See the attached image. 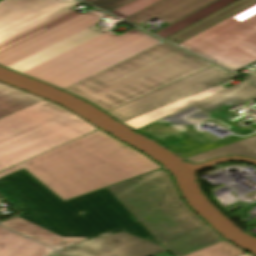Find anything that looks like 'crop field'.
<instances>
[{
    "label": "crop field",
    "instance_id": "13",
    "mask_svg": "<svg viewBox=\"0 0 256 256\" xmlns=\"http://www.w3.org/2000/svg\"><path fill=\"white\" fill-rule=\"evenodd\" d=\"M219 91H221L219 88L213 86L209 89H206L204 91H201V92L191 95L189 97L183 98L181 100H178L176 102H173L171 104L163 106L161 108H158V109L148 112L146 114H143V115H140L133 119H130L128 121H125L123 123L135 130H138L139 128H141L147 124L157 121L173 112H176L190 104H193V103H195L201 99H204L210 95H213Z\"/></svg>",
    "mask_w": 256,
    "mask_h": 256
},
{
    "label": "crop field",
    "instance_id": "1",
    "mask_svg": "<svg viewBox=\"0 0 256 256\" xmlns=\"http://www.w3.org/2000/svg\"><path fill=\"white\" fill-rule=\"evenodd\" d=\"M77 0L0 2V65L62 90L159 43L132 30L94 26L107 14L77 13Z\"/></svg>",
    "mask_w": 256,
    "mask_h": 256
},
{
    "label": "crop field",
    "instance_id": "8",
    "mask_svg": "<svg viewBox=\"0 0 256 256\" xmlns=\"http://www.w3.org/2000/svg\"><path fill=\"white\" fill-rule=\"evenodd\" d=\"M236 77L238 75L213 65L199 73L186 77L106 113L123 122Z\"/></svg>",
    "mask_w": 256,
    "mask_h": 256
},
{
    "label": "crop field",
    "instance_id": "20",
    "mask_svg": "<svg viewBox=\"0 0 256 256\" xmlns=\"http://www.w3.org/2000/svg\"><path fill=\"white\" fill-rule=\"evenodd\" d=\"M244 253L246 252L236 248L229 242L224 241L186 256H239Z\"/></svg>",
    "mask_w": 256,
    "mask_h": 256
},
{
    "label": "crop field",
    "instance_id": "10",
    "mask_svg": "<svg viewBox=\"0 0 256 256\" xmlns=\"http://www.w3.org/2000/svg\"><path fill=\"white\" fill-rule=\"evenodd\" d=\"M216 0H163L125 20L136 25L157 17L170 24Z\"/></svg>",
    "mask_w": 256,
    "mask_h": 256
},
{
    "label": "crop field",
    "instance_id": "3",
    "mask_svg": "<svg viewBox=\"0 0 256 256\" xmlns=\"http://www.w3.org/2000/svg\"><path fill=\"white\" fill-rule=\"evenodd\" d=\"M0 195L18 217L61 237H95L124 231L159 242L107 189L66 203L25 170L0 179ZM83 211V215L79 212Z\"/></svg>",
    "mask_w": 256,
    "mask_h": 256
},
{
    "label": "crop field",
    "instance_id": "4",
    "mask_svg": "<svg viewBox=\"0 0 256 256\" xmlns=\"http://www.w3.org/2000/svg\"><path fill=\"white\" fill-rule=\"evenodd\" d=\"M211 65L164 42L65 91L108 111Z\"/></svg>",
    "mask_w": 256,
    "mask_h": 256
},
{
    "label": "crop field",
    "instance_id": "16",
    "mask_svg": "<svg viewBox=\"0 0 256 256\" xmlns=\"http://www.w3.org/2000/svg\"><path fill=\"white\" fill-rule=\"evenodd\" d=\"M219 237L220 235L208 225L164 246L177 256H180L217 242Z\"/></svg>",
    "mask_w": 256,
    "mask_h": 256
},
{
    "label": "crop field",
    "instance_id": "25",
    "mask_svg": "<svg viewBox=\"0 0 256 256\" xmlns=\"http://www.w3.org/2000/svg\"><path fill=\"white\" fill-rule=\"evenodd\" d=\"M52 256H64V255H62V254H60V253L56 252V253H55V254H53Z\"/></svg>",
    "mask_w": 256,
    "mask_h": 256
},
{
    "label": "crop field",
    "instance_id": "7",
    "mask_svg": "<svg viewBox=\"0 0 256 256\" xmlns=\"http://www.w3.org/2000/svg\"><path fill=\"white\" fill-rule=\"evenodd\" d=\"M179 45L232 71L256 61V4Z\"/></svg>",
    "mask_w": 256,
    "mask_h": 256
},
{
    "label": "crop field",
    "instance_id": "14",
    "mask_svg": "<svg viewBox=\"0 0 256 256\" xmlns=\"http://www.w3.org/2000/svg\"><path fill=\"white\" fill-rule=\"evenodd\" d=\"M52 250L0 227V256H47Z\"/></svg>",
    "mask_w": 256,
    "mask_h": 256
},
{
    "label": "crop field",
    "instance_id": "11",
    "mask_svg": "<svg viewBox=\"0 0 256 256\" xmlns=\"http://www.w3.org/2000/svg\"><path fill=\"white\" fill-rule=\"evenodd\" d=\"M255 98L256 85L246 80L193 105L209 114L211 110L221 105H233L239 102H248Z\"/></svg>",
    "mask_w": 256,
    "mask_h": 256
},
{
    "label": "crop field",
    "instance_id": "9",
    "mask_svg": "<svg viewBox=\"0 0 256 256\" xmlns=\"http://www.w3.org/2000/svg\"><path fill=\"white\" fill-rule=\"evenodd\" d=\"M166 249L119 232L60 250L69 256H150Z\"/></svg>",
    "mask_w": 256,
    "mask_h": 256
},
{
    "label": "crop field",
    "instance_id": "18",
    "mask_svg": "<svg viewBox=\"0 0 256 256\" xmlns=\"http://www.w3.org/2000/svg\"><path fill=\"white\" fill-rule=\"evenodd\" d=\"M236 1L238 0H217L155 34L166 39Z\"/></svg>",
    "mask_w": 256,
    "mask_h": 256
},
{
    "label": "crop field",
    "instance_id": "22",
    "mask_svg": "<svg viewBox=\"0 0 256 256\" xmlns=\"http://www.w3.org/2000/svg\"><path fill=\"white\" fill-rule=\"evenodd\" d=\"M159 1L161 0H136L110 13L125 19Z\"/></svg>",
    "mask_w": 256,
    "mask_h": 256
},
{
    "label": "crop field",
    "instance_id": "19",
    "mask_svg": "<svg viewBox=\"0 0 256 256\" xmlns=\"http://www.w3.org/2000/svg\"><path fill=\"white\" fill-rule=\"evenodd\" d=\"M236 155L256 159V136L191 158V163H200L215 157Z\"/></svg>",
    "mask_w": 256,
    "mask_h": 256
},
{
    "label": "crop field",
    "instance_id": "2",
    "mask_svg": "<svg viewBox=\"0 0 256 256\" xmlns=\"http://www.w3.org/2000/svg\"><path fill=\"white\" fill-rule=\"evenodd\" d=\"M25 168L67 200L161 168L133 147L97 130L8 170Z\"/></svg>",
    "mask_w": 256,
    "mask_h": 256
},
{
    "label": "crop field",
    "instance_id": "23",
    "mask_svg": "<svg viewBox=\"0 0 256 256\" xmlns=\"http://www.w3.org/2000/svg\"><path fill=\"white\" fill-rule=\"evenodd\" d=\"M133 0H94L89 3L107 11L110 12L126 3H129Z\"/></svg>",
    "mask_w": 256,
    "mask_h": 256
},
{
    "label": "crop field",
    "instance_id": "17",
    "mask_svg": "<svg viewBox=\"0 0 256 256\" xmlns=\"http://www.w3.org/2000/svg\"><path fill=\"white\" fill-rule=\"evenodd\" d=\"M43 99L0 82V118Z\"/></svg>",
    "mask_w": 256,
    "mask_h": 256
},
{
    "label": "crop field",
    "instance_id": "5",
    "mask_svg": "<svg viewBox=\"0 0 256 256\" xmlns=\"http://www.w3.org/2000/svg\"><path fill=\"white\" fill-rule=\"evenodd\" d=\"M97 129L47 100L36 103L0 119V171Z\"/></svg>",
    "mask_w": 256,
    "mask_h": 256
},
{
    "label": "crop field",
    "instance_id": "15",
    "mask_svg": "<svg viewBox=\"0 0 256 256\" xmlns=\"http://www.w3.org/2000/svg\"><path fill=\"white\" fill-rule=\"evenodd\" d=\"M255 3L256 0H240L167 40L178 44Z\"/></svg>",
    "mask_w": 256,
    "mask_h": 256
},
{
    "label": "crop field",
    "instance_id": "26",
    "mask_svg": "<svg viewBox=\"0 0 256 256\" xmlns=\"http://www.w3.org/2000/svg\"><path fill=\"white\" fill-rule=\"evenodd\" d=\"M241 256H252V255H250L249 253H246V254L241 255Z\"/></svg>",
    "mask_w": 256,
    "mask_h": 256
},
{
    "label": "crop field",
    "instance_id": "24",
    "mask_svg": "<svg viewBox=\"0 0 256 256\" xmlns=\"http://www.w3.org/2000/svg\"><path fill=\"white\" fill-rule=\"evenodd\" d=\"M249 79L253 80L256 82V72H254L250 77Z\"/></svg>",
    "mask_w": 256,
    "mask_h": 256
},
{
    "label": "crop field",
    "instance_id": "21",
    "mask_svg": "<svg viewBox=\"0 0 256 256\" xmlns=\"http://www.w3.org/2000/svg\"><path fill=\"white\" fill-rule=\"evenodd\" d=\"M165 118H175L180 119L184 122H193L197 120H204V119H211L210 116L203 111L197 109L194 106H188L168 117ZM165 118L157 121L158 123H161Z\"/></svg>",
    "mask_w": 256,
    "mask_h": 256
},
{
    "label": "crop field",
    "instance_id": "6",
    "mask_svg": "<svg viewBox=\"0 0 256 256\" xmlns=\"http://www.w3.org/2000/svg\"><path fill=\"white\" fill-rule=\"evenodd\" d=\"M140 177L108 189L161 245L207 225L183 202L164 169Z\"/></svg>",
    "mask_w": 256,
    "mask_h": 256
},
{
    "label": "crop field",
    "instance_id": "12",
    "mask_svg": "<svg viewBox=\"0 0 256 256\" xmlns=\"http://www.w3.org/2000/svg\"><path fill=\"white\" fill-rule=\"evenodd\" d=\"M1 223L9 229L17 231L25 236L36 239L38 241H41L54 249L63 248L65 246L88 239V238H60L16 216L11 217Z\"/></svg>",
    "mask_w": 256,
    "mask_h": 256
},
{
    "label": "crop field",
    "instance_id": "27",
    "mask_svg": "<svg viewBox=\"0 0 256 256\" xmlns=\"http://www.w3.org/2000/svg\"><path fill=\"white\" fill-rule=\"evenodd\" d=\"M84 1L89 2V1H91V0H84Z\"/></svg>",
    "mask_w": 256,
    "mask_h": 256
}]
</instances>
